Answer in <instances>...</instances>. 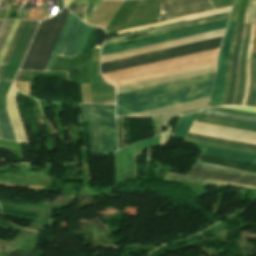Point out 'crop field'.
<instances>
[{
	"mask_svg": "<svg viewBox=\"0 0 256 256\" xmlns=\"http://www.w3.org/2000/svg\"><path fill=\"white\" fill-rule=\"evenodd\" d=\"M213 78L214 74L119 95L117 96V116L130 115L207 97L210 94ZM208 98L209 97L130 116L148 117L180 114L204 107Z\"/></svg>",
	"mask_w": 256,
	"mask_h": 256,
	"instance_id": "1",
	"label": "crop field"
},
{
	"mask_svg": "<svg viewBox=\"0 0 256 256\" xmlns=\"http://www.w3.org/2000/svg\"><path fill=\"white\" fill-rule=\"evenodd\" d=\"M68 13L64 8L60 14L41 23L21 69L44 70ZM91 28L69 13L44 71L51 70L56 55L72 58L80 54Z\"/></svg>",
	"mask_w": 256,
	"mask_h": 256,
	"instance_id": "2",
	"label": "crop field"
},
{
	"mask_svg": "<svg viewBox=\"0 0 256 256\" xmlns=\"http://www.w3.org/2000/svg\"><path fill=\"white\" fill-rule=\"evenodd\" d=\"M83 120L88 121L90 150L109 153L117 149L115 106L81 105Z\"/></svg>",
	"mask_w": 256,
	"mask_h": 256,
	"instance_id": "3",
	"label": "crop field"
},
{
	"mask_svg": "<svg viewBox=\"0 0 256 256\" xmlns=\"http://www.w3.org/2000/svg\"><path fill=\"white\" fill-rule=\"evenodd\" d=\"M38 22L26 21L0 79V132L3 139L15 140L6 110V94L24 56Z\"/></svg>",
	"mask_w": 256,
	"mask_h": 256,
	"instance_id": "4",
	"label": "crop field"
},
{
	"mask_svg": "<svg viewBox=\"0 0 256 256\" xmlns=\"http://www.w3.org/2000/svg\"><path fill=\"white\" fill-rule=\"evenodd\" d=\"M222 37L223 36L103 63L101 64V71H102V74H104L112 71H117V70L139 66L147 63H152L156 61H161L169 58H174L182 55H187L195 52L217 48L220 46Z\"/></svg>",
	"mask_w": 256,
	"mask_h": 256,
	"instance_id": "5",
	"label": "crop field"
},
{
	"mask_svg": "<svg viewBox=\"0 0 256 256\" xmlns=\"http://www.w3.org/2000/svg\"><path fill=\"white\" fill-rule=\"evenodd\" d=\"M215 8L211 0H209ZM208 0H162L161 15L158 20L171 17L194 14L198 12L212 10L213 7ZM157 20V21H158Z\"/></svg>",
	"mask_w": 256,
	"mask_h": 256,
	"instance_id": "6",
	"label": "crop field"
},
{
	"mask_svg": "<svg viewBox=\"0 0 256 256\" xmlns=\"http://www.w3.org/2000/svg\"><path fill=\"white\" fill-rule=\"evenodd\" d=\"M235 24H236L235 22L229 23L228 29L226 31V34L221 46L220 58H219V64H218V69H217L216 78H215L214 89L210 98V101H213V102H219V103L222 102L225 82H226V81H223V79L226 78V65H227V59L230 51V45L232 42Z\"/></svg>",
	"mask_w": 256,
	"mask_h": 256,
	"instance_id": "7",
	"label": "crop field"
},
{
	"mask_svg": "<svg viewBox=\"0 0 256 256\" xmlns=\"http://www.w3.org/2000/svg\"><path fill=\"white\" fill-rule=\"evenodd\" d=\"M224 30L225 29L210 32V33H205V34H201V35H196V36H192V37H188V38H183V39H179V40H174V41H170V42H165V43H161V44H156V45H152V46H147V47H143V48H138V49H134V50H130V51H125V52H121V53H116V54H112V55L103 56V57H101L102 63L111 61V60H116V59H120V58L133 56V55L147 53V52H151V51H155V50L169 48V47H173V46H177V45L191 43V42H195V41H199V40H204V39H208V38L221 36L224 34Z\"/></svg>",
	"mask_w": 256,
	"mask_h": 256,
	"instance_id": "8",
	"label": "crop field"
},
{
	"mask_svg": "<svg viewBox=\"0 0 256 256\" xmlns=\"http://www.w3.org/2000/svg\"><path fill=\"white\" fill-rule=\"evenodd\" d=\"M161 135L115 152L117 180L134 170L133 155L152 146L159 145Z\"/></svg>",
	"mask_w": 256,
	"mask_h": 256,
	"instance_id": "9",
	"label": "crop field"
},
{
	"mask_svg": "<svg viewBox=\"0 0 256 256\" xmlns=\"http://www.w3.org/2000/svg\"><path fill=\"white\" fill-rule=\"evenodd\" d=\"M215 66L216 65L201 68V69L191 70V71H187V72H182V73H178V74H173V75H169V76H164V77H160V78H155V79H151V80L132 83V84H128V85L119 86V87H117V94L132 91V90H137V89H141V88H145V87H150V86H154V85H159V84H163V83H168V82H172V81H177V80H181V79H186V78H190V77H194V76H199V75H203V74L212 73L215 70Z\"/></svg>",
	"mask_w": 256,
	"mask_h": 256,
	"instance_id": "10",
	"label": "crop field"
},
{
	"mask_svg": "<svg viewBox=\"0 0 256 256\" xmlns=\"http://www.w3.org/2000/svg\"><path fill=\"white\" fill-rule=\"evenodd\" d=\"M226 23L227 22L204 27V28H199V29H195V30H191V31H186V32L178 33V34L164 36V37H160V38H156V39H151V40H147V41H143V42H138V43H134V44H130V45H125V46H121V47H117V48L104 50L101 52V56L116 53V52H121V51H125V50H130V49H134V48H138V47H143V46H147V45H152V44H156V43H161V42H165V41H170V40H174V39H179V38H183V37H188V36L201 34V33H205V32H210V31H214V30L223 29L226 27Z\"/></svg>",
	"mask_w": 256,
	"mask_h": 256,
	"instance_id": "11",
	"label": "crop field"
},
{
	"mask_svg": "<svg viewBox=\"0 0 256 256\" xmlns=\"http://www.w3.org/2000/svg\"><path fill=\"white\" fill-rule=\"evenodd\" d=\"M200 117L214 118L238 124L256 126V113L236 111L226 108H212L199 113Z\"/></svg>",
	"mask_w": 256,
	"mask_h": 256,
	"instance_id": "12",
	"label": "crop field"
},
{
	"mask_svg": "<svg viewBox=\"0 0 256 256\" xmlns=\"http://www.w3.org/2000/svg\"><path fill=\"white\" fill-rule=\"evenodd\" d=\"M229 13L230 12L215 15V16H210V17H206V18H201V19H197V20H192V21H188V22H183V23H179V24L160 27V28H156V29H151V30H147V31H142V32H138V33H133V34H129V35H124V36H120V37L111 38V39L106 40L104 46L113 44V43L126 41V40L139 38V37H144V36H148V35H152V34H157V33L165 32V31H170V30H174V29H179V28H183V27H187V26H192V25H196V24H200V23H205V22H209V21H213V20L226 18L229 16ZM156 31H158V32H156ZM152 32H156V33H152ZM148 33H152V34H148ZM143 34H148V35L139 36V35H143ZM134 36H139V37L130 38V37H134ZM125 38H130V39H125ZM121 39H125V40H121ZM118 40H121V41H118Z\"/></svg>",
	"mask_w": 256,
	"mask_h": 256,
	"instance_id": "13",
	"label": "crop field"
},
{
	"mask_svg": "<svg viewBox=\"0 0 256 256\" xmlns=\"http://www.w3.org/2000/svg\"><path fill=\"white\" fill-rule=\"evenodd\" d=\"M6 110L13 128L16 140L19 142L28 141L25 129L23 127V124L17 109L16 90L13 87V83L7 94Z\"/></svg>",
	"mask_w": 256,
	"mask_h": 256,
	"instance_id": "14",
	"label": "crop field"
},
{
	"mask_svg": "<svg viewBox=\"0 0 256 256\" xmlns=\"http://www.w3.org/2000/svg\"><path fill=\"white\" fill-rule=\"evenodd\" d=\"M191 128L213 132V133H219V134H223L231 137L256 140V132L231 129L227 127H222V126H217V125H212V124H207V123H202L197 121H194Z\"/></svg>",
	"mask_w": 256,
	"mask_h": 256,
	"instance_id": "15",
	"label": "crop field"
},
{
	"mask_svg": "<svg viewBox=\"0 0 256 256\" xmlns=\"http://www.w3.org/2000/svg\"><path fill=\"white\" fill-rule=\"evenodd\" d=\"M102 0H64L67 8L87 23Z\"/></svg>",
	"mask_w": 256,
	"mask_h": 256,
	"instance_id": "16",
	"label": "crop field"
},
{
	"mask_svg": "<svg viewBox=\"0 0 256 256\" xmlns=\"http://www.w3.org/2000/svg\"><path fill=\"white\" fill-rule=\"evenodd\" d=\"M197 147L199 148L200 152L204 154H210V155H215V156H220V157H225V158H230L234 160L245 161V162L256 164V154H250V153L232 151V150H224V149H219V148L209 147V146H202V145H197Z\"/></svg>",
	"mask_w": 256,
	"mask_h": 256,
	"instance_id": "17",
	"label": "crop field"
},
{
	"mask_svg": "<svg viewBox=\"0 0 256 256\" xmlns=\"http://www.w3.org/2000/svg\"><path fill=\"white\" fill-rule=\"evenodd\" d=\"M164 179L179 181V182L199 183V184H208V185H216V186L225 185V186L241 187V188H248V189H256V187H253V186L240 185V184L219 181L214 179H204V178L195 177L191 175L181 176V175L167 173Z\"/></svg>",
	"mask_w": 256,
	"mask_h": 256,
	"instance_id": "18",
	"label": "crop field"
},
{
	"mask_svg": "<svg viewBox=\"0 0 256 256\" xmlns=\"http://www.w3.org/2000/svg\"><path fill=\"white\" fill-rule=\"evenodd\" d=\"M198 161L204 162V163L221 165V166L238 169L242 171L256 172L255 164L239 162V161L229 160L225 158L210 156V155L202 154L201 157L198 159Z\"/></svg>",
	"mask_w": 256,
	"mask_h": 256,
	"instance_id": "19",
	"label": "crop field"
},
{
	"mask_svg": "<svg viewBox=\"0 0 256 256\" xmlns=\"http://www.w3.org/2000/svg\"><path fill=\"white\" fill-rule=\"evenodd\" d=\"M231 7L232 6L217 9V10H212V11H208V12L198 13V14H194V15H189V16H185V17H180V18H176V19H171V20H167V21H162V22H158V23H153V24H149V25L130 28V29H126V30H121V31H117L115 33H116V35H119V34H123V33H128V32L137 31V30L146 29V28H151V27L169 24V23H173V22H178V21H182V20L188 21V20H192V19H197V18H201V17L224 13V12L230 11Z\"/></svg>",
	"mask_w": 256,
	"mask_h": 256,
	"instance_id": "20",
	"label": "crop field"
},
{
	"mask_svg": "<svg viewBox=\"0 0 256 256\" xmlns=\"http://www.w3.org/2000/svg\"><path fill=\"white\" fill-rule=\"evenodd\" d=\"M198 113L199 112L191 115L181 116L173 135L184 138L190 125L192 124Z\"/></svg>",
	"mask_w": 256,
	"mask_h": 256,
	"instance_id": "21",
	"label": "crop field"
},
{
	"mask_svg": "<svg viewBox=\"0 0 256 256\" xmlns=\"http://www.w3.org/2000/svg\"><path fill=\"white\" fill-rule=\"evenodd\" d=\"M184 141L191 142V143H196V144H202V145L215 146V147H219V148L233 149V150L245 151V152H250V153H256L255 149L231 146V145H226V144H220V143H214V142H208V141H201V140H195V139H189V138H185Z\"/></svg>",
	"mask_w": 256,
	"mask_h": 256,
	"instance_id": "22",
	"label": "crop field"
},
{
	"mask_svg": "<svg viewBox=\"0 0 256 256\" xmlns=\"http://www.w3.org/2000/svg\"><path fill=\"white\" fill-rule=\"evenodd\" d=\"M246 26H247V24H244L242 39H241L240 48H239L237 74H236L235 88H234V94H233V100H232V104H234V105H235L236 96L238 94V89H239L240 62H241L242 50H243V46H244Z\"/></svg>",
	"mask_w": 256,
	"mask_h": 256,
	"instance_id": "23",
	"label": "crop field"
},
{
	"mask_svg": "<svg viewBox=\"0 0 256 256\" xmlns=\"http://www.w3.org/2000/svg\"><path fill=\"white\" fill-rule=\"evenodd\" d=\"M242 27H243V24H241V26H240V30H239V34H238V38H237V42H236L233 63H232L230 94H229L227 104H231V100H232V93H233V88H234L235 72H236V57H237L239 42H240V38H241Z\"/></svg>",
	"mask_w": 256,
	"mask_h": 256,
	"instance_id": "24",
	"label": "crop field"
},
{
	"mask_svg": "<svg viewBox=\"0 0 256 256\" xmlns=\"http://www.w3.org/2000/svg\"><path fill=\"white\" fill-rule=\"evenodd\" d=\"M188 174L200 176V177H204V178H214V179H220V180H225V181H230V182H235V183H240V184L256 186V182L232 179V178H227V177H223V176L207 174V173H203V172L189 171Z\"/></svg>",
	"mask_w": 256,
	"mask_h": 256,
	"instance_id": "25",
	"label": "crop field"
},
{
	"mask_svg": "<svg viewBox=\"0 0 256 256\" xmlns=\"http://www.w3.org/2000/svg\"><path fill=\"white\" fill-rule=\"evenodd\" d=\"M192 170L203 171V172H207V173L218 174V175H223V176L232 177V178L256 181L255 177H249V176H243V175H237V174H230V173H225V172H221V171H217V170H213V169H208V168H204V167L193 166Z\"/></svg>",
	"mask_w": 256,
	"mask_h": 256,
	"instance_id": "26",
	"label": "crop field"
},
{
	"mask_svg": "<svg viewBox=\"0 0 256 256\" xmlns=\"http://www.w3.org/2000/svg\"><path fill=\"white\" fill-rule=\"evenodd\" d=\"M239 25L240 24H238V23L236 25L233 43H232V47H231V51H230V55H229V61H228V67H227V83H226V90H225V94H224L223 103H226V100H227V93H228L229 82H230L231 62H232V57H233V52H234L235 42H236V38H237V34H238Z\"/></svg>",
	"mask_w": 256,
	"mask_h": 256,
	"instance_id": "27",
	"label": "crop field"
},
{
	"mask_svg": "<svg viewBox=\"0 0 256 256\" xmlns=\"http://www.w3.org/2000/svg\"><path fill=\"white\" fill-rule=\"evenodd\" d=\"M196 120L202 121V122H207V123H212V124H217V125H222V126H227V127H232V128L256 131V127H252V126L232 124V123H227V122H223V121L200 118V117H197Z\"/></svg>",
	"mask_w": 256,
	"mask_h": 256,
	"instance_id": "28",
	"label": "crop field"
},
{
	"mask_svg": "<svg viewBox=\"0 0 256 256\" xmlns=\"http://www.w3.org/2000/svg\"><path fill=\"white\" fill-rule=\"evenodd\" d=\"M244 23H256V0H249Z\"/></svg>",
	"mask_w": 256,
	"mask_h": 256,
	"instance_id": "29",
	"label": "crop field"
},
{
	"mask_svg": "<svg viewBox=\"0 0 256 256\" xmlns=\"http://www.w3.org/2000/svg\"><path fill=\"white\" fill-rule=\"evenodd\" d=\"M24 22H25V21H21V22H20V24H19V26H18V28H17V31H16V33H15V35H14V38H13L11 44H10V47H9V49H8V51H7V54H6V56H5L4 60H3V63H2V65H1V67H0V77H1V75H2V73H3V70H4L5 66H6V63H7L8 59H9V56H10V54H11V52H12V49H13V47H14V45H15V42H16L18 36H19V33H20L21 29H22V26H23ZM0 139H2V138H1V135H0Z\"/></svg>",
	"mask_w": 256,
	"mask_h": 256,
	"instance_id": "30",
	"label": "crop field"
},
{
	"mask_svg": "<svg viewBox=\"0 0 256 256\" xmlns=\"http://www.w3.org/2000/svg\"><path fill=\"white\" fill-rule=\"evenodd\" d=\"M189 132L198 134V135H202V136H208V137L220 138V139H225V140H233V141L245 142V143H250V144H256V141L231 138V137H226V136L219 135V134H213V133H208V132H203V131H198V130L190 129Z\"/></svg>",
	"mask_w": 256,
	"mask_h": 256,
	"instance_id": "31",
	"label": "crop field"
},
{
	"mask_svg": "<svg viewBox=\"0 0 256 256\" xmlns=\"http://www.w3.org/2000/svg\"><path fill=\"white\" fill-rule=\"evenodd\" d=\"M188 137H194V138H199V139H204V140H210V141H215V142H220V143H226V144H232V145H238V146H244V147H250V148H255L256 145H250V144H245V143H239V142H233V141H224L220 139H214V138H208V137H202V136H197L193 134H187Z\"/></svg>",
	"mask_w": 256,
	"mask_h": 256,
	"instance_id": "32",
	"label": "crop field"
},
{
	"mask_svg": "<svg viewBox=\"0 0 256 256\" xmlns=\"http://www.w3.org/2000/svg\"><path fill=\"white\" fill-rule=\"evenodd\" d=\"M254 59H255V54H251V61H250V86H249V93L247 95L246 104H245L247 106H249V104H250L251 94H252V90H253Z\"/></svg>",
	"mask_w": 256,
	"mask_h": 256,
	"instance_id": "33",
	"label": "crop field"
},
{
	"mask_svg": "<svg viewBox=\"0 0 256 256\" xmlns=\"http://www.w3.org/2000/svg\"><path fill=\"white\" fill-rule=\"evenodd\" d=\"M12 21L13 20H5L4 22L2 21L3 24H2V26L0 28V48H1L2 44H3V41H4V39H5L6 35H7V32L9 30V28H10V25H11Z\"/></svg>",
	"mask_w": 256,
	"mask_h": 256,
	"instance_id": "34",
	"label": "crop field"
},
{
	"mask_svg": "<svg viewBox=\"0 0 256 256\" xmlns=\"http://www.w3.org/2000/svg\"><path fill=\"white\" fill-rule=\"evenodd\" d=\"M226 19H222V20H218V21H213V22H209V23H205V24H200V25H196V26H192V27H187V28H183V29H179V30H174V31H170V32H166V33H161V34H157V35H152V36H148V37H144V38H149V37H153V36H158V35H162V34H167V33H171V32H176V31H180V30H185V29H189V28H194V27H198V26H203V25H207V24H212V23H216V22H221V21H225ZM144 38H139V39H135V40H140V39H144ZM135 40H131V41H135ZM131 41H126V42H131ZM126 42H122V43H126ZM122 43H118V44H122ZM113 45H117V44H113ZM113 45H109V46H113ZM108 47V46H105ZM104 48V47H102Z\"/></svg>",
	"mask_w": 256,
	"mask_h": 256,
	"instance_id": "35",
	"label": "crop field"
},
{
	"mask_svg": "<svg viewBox=\"0 0 256 256\" xmlns=\"http://www.w3.org/2000/svg\"><path fill=\"white\" fill-rule=\"evenodd\" d=\"M252 27V24H251ZM250 38H251V28H250ZM250 38H249V45H250ZM249 45H248V49H247V53H246V60H245V84H244V91H243V97H242V103L243 104V100H244V96H245V92H246V82H247V62H248V51H249Z\"/></svg>",
	"mask_w": 256,
	"mask_h": 256,
	"instance_id": "36",
	"label": "crop field"
},
{
	"mask_svg": "<svg viewBox=\"0 0 256 256\" xmlns=\"http://www.w3.org/2000/svg\"><path fill=\"white\" fill-rule=\"evenodd\" d=\"M255 95H256V60H255V69H254V90H253V95H252L251 104H250V106L252 107L254 104Z\"/></svg>",
	"mask_w": 256,
	"mask_h": 256,
	"instance_id": "37",
	"label": "crop field"
},
{
	"mask_svg": "<svg viewBox=\"0 0 256 256\" xmlns=\"http://www.w3.org/2000/svg\"><path fill=\"white\" fill-rule=\"evenodd\" d=\"M253 28H254V24H253V27H252V36H253ZM251 44H252V39H251ZM250 50H251V45H250ZM249 61H250V51H249ZM248 86H249V62H248V83H247V90H248ZM247 94V92H246ZM245 99H246V96H245ZM244 103H245V100H244ZM244 105V104H243Z\"/></svg>",
	"mask_w": 256,
	"mask_h": 256,
	"instance_id": "38",
	"label": "crop field"
},
{
	"mask_svg": "<svg viewBox=\"0 0 256 256\" xmlns=\"http://www.w3.org/2000/svg\"><path fill=\"white\" fill-rule=\"evenodd\" d=\"M195 165H197V164H195ZM199 166L209 167V168H213V169H217V170H221V171H225V172L238 173V172H233V171H228V170H222V169H218V168H214V167H210V166H206V165H199ZM238 174H244V173H238ZM244 175H248V174H244ZM251 176H252V175H251Z\"/></svg>",
	"mask_w": 256,
	"mask_h": 256,
	"instance_id": "39",
	"label": "crop field"
},
{
	"mask_svg": "<svg viewBox=\"0 0 256 256\" xmlns=\"http://www.w3.org/2000/svg\"><path fill=\"white\" fill-rule=\"evenodd\" d=\"M9 150L10 152H12L13 154L23 158V155H22V151H18V150H11V149H7Z\"/></svg>",
	"mask_w": 256,
	"mask_h": 256,
	"instance_id": "40",
	"label": "crop field"
},
{
	"mask_svg": "<svg viewBox=\"0 0 256 256\" xmlns=\"http://www.w3.org/2000/svg\"><path fill=\"white\" fill-rule=\"evenodd\" d=\"M196 163H199V162H196ZM199 164H204V163H199ZM206 165H210V164H206ZM210 166H214V167H218V168H223V169H229V168H225V167H221V166H216V165H210ZM230 170H233V169H230ZM235 171H238V170H235ZM240 172H242V171H240ZM245 173H249V172H245ZM249 174L256 175V173H249Z\"/></svg>",
	"mask_w": 256,
	"mask_h": 256,
	"instance_id": "41",
	"label": "crop field"
},
{
	"mask_svg": "<svg viewBox=\"0 0 256 256\" xmlns=\"http://www.w3.org/2000/svg\"><path fill=\"white\" fill-rule=\"evenodd\" d=\"M21 13H22V11H21V10H19V11H18V13H17V15H16V18H15V19H19V18H20Z\"/></svg>",
	"mask_w": 256,
	"mask_h": 256,
	"instance_id": "42",
	"label": "crop field"
},
{
	"mask_svg": "<svg viewBox=\"0 0 256 256\" xmlns=\"http://www.w3.org/2000/svg\"><path fill=\"white\" fill-rule=\"evenodd\" d=\"M254 106H256V100H255V104H254Z\"/></svg>",
	"mask_w": 256,
	"mask_h": 256,
	"instance_id": "43",
	"label": "crop field"
},
{
	"mask_svg": "<svg viewBox=\"0 0 256 256\" xmlns=\"http://www.w3.org/2000/svg\"><path fill=\"white\" fill-rule=\"evenodd\" d=\"M1 24H2V21H0V26H1Z\"/></svg>",
	"mask_w": 256,
	"mask_h": 256,
	"instance_id": "44",
	"label": "crop field"
},
{
	"mask_svg": "<svg viewBox=\"0 0 256 256\" xmlns=\"http://www.w3.org/2000/svg\"><path fill=\"white\" fill-rule=\"evenodd\" d=\"M207 107H211V106H207ZM206 108V107H205Z\"/></svg>",
	"mask_w": 256,
	"mask_h": 256,
	"instance_id": "45",
	"label": "crop field"
}]
</instances>
